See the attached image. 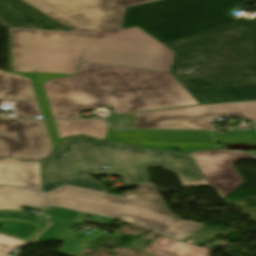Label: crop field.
Instances as JSON below:
<instances>
[{"mask_svg": "<svg viewBox=\"0 0 256 256\" xmlns=\"http://www.w3.org/2000/svg\"><path fill=\"white\" fill-rule=\"evenodd\" d=\"M108 0H0L9 29V72L31 78L33 88L73 75L79 60L169 71L173 52L134 27L120 30L125 8Z\"/></svg>", "mask_w": 256, "mask_h": 256, "instance_id": "obj_1", "label": "crop field"}, {"mask_svg": "<svg viewBox=\"0 0 256 256\" xmlns=\"http://www.w3.org/2000/svg\"><path fill=\"white\" fill-rule=\"evenodd\" d=\"M256 0H162L128 7L139 26L175 53L171 74L199 104L256 99V18L230 9Z\"/></svg>", "mask_w": 256, "mask_h": 256, "instance_id": "obj_2", "label": "crop field"}, {"mask_svg": "<svg viewBox=\"0 0 256 256\" xmlns=\"http://www.w3.org/2000/svg\"><path fill=\"white\" fill-rule=\"evenodd\" d=\"M54 118L110 104L116 114L198 104L166 72L81 62L76 75L43 84Z\"/></svg>", "mask_w": 256, "mask_h": 256, "instance_id": "obj_3", "label": "crop field"}, {"mask_svg": "<svg viewBox=\"0 0 256 256\" xmlns=\"http://www.w3.org/2000/svg\"><path fill=\"white\" fill-rule=\"evenodd\" d=\"M107 165L109 170L101 166ZM163 165L177 173L185 187L207 185L190 153L137 149L129 144L109 143L85 136L66 139L60 149L40 162L42 192L69 184L105 191L86 174L109 173L125 179L124 184L149 182L146 167Z\"/></svg>", "mask_w": 256, "mask_h": 256, "instance_id": "obj_4", "label": "crop field"}, {"mask_svg": "<svg viewBox=\"0 0 256 256\" xmlns=\"http://www.w3.org/2000/svg\"><path fill=\"white\" fill-rule=\"evenodd\" d=\"M136 192L121 196L64 186L49 194L50 204L124 218L142 229L183 241L201 224L181 220L167 210L152 184H140Z\"/></svg>", "mask_w": 256, "mask_h": 256, "instance_id": "obj_5", "label": "crop field"}, {"mask_svg": "<svg viewBox=\"0 0 256 256\" xmlns=\"http://www.w3.org/2000/svg\"><path fill=\"white\" fill-rule=\"evenodd\" d=\"M134 128L213 129L211 118L236 116L256 120V101L198 105L135 113Z\"/></svg>", "mask_w": 256, "mask_h": 256, "instance_id": "obj_6", "label": "crop field"}, {"mask_svg": "<svg viewBox=\"0 0 256 256\" xmlns=\"http://www.w3.org/2000/svg\"><path fill=\"white\" fill-rule=\"evenodd\" d=\"M52 150L44 121L0 116V158L34 161L45 158Z\"/></svg>", "mask_w": 256, "mask_h": 256, "instance_id": "obj_7", "label": "crop field"}, {"mask_svg": "<svg viewBox=\"0 0 256 256\" xmlns=\"http://www.w3.org/2000/svg\"><path fill=\"white\" fill-rule=\"evenodd\" d=\"M107 141L129 142L138 147L178 149L182 152L220 147L212 140L210 131L124 130L107 136Z\"/></svg>", "mask_w": 256, "mask_h": 256, "instance_id": "obj_8", "label": "crop field"}, {"mask_svg": "<svg viewBox=\"0 0 256 256\" xmlns=\"http://www.w3.org/2000/svg\"><path fill=\"white\" fill-rule=\"evenodd\" d=\"M191 155L208 185L219 193L220 198L228 195L242 183L231 162L240 159H256L247 153L223 150L198 151L191 153Z\"/></svg>", "mask_w": 256, "mask_h": 256, "instance_id": "obj_9", "label": "crop field"}, {"mask_svg": "<svg viewBox=\"0 0 256 256\" xmlns=\"http://www.w3.org/2000/svg\"><path fill=\"white\" fill-rule=\"evenodd\" d=\"M0 184L27 187L41 192L39 162L0 160Z\"/></svg>", "mask_w": 256, "mask_h": 256, "instance_id": "obj_10", "label": "crop field"}, {"mask_svg": "<svg viewBox=\"0 0 256 256\" xmlns=\"http://www.w3.org/2000/svg\"><path fill=\"white\" fill-rule=\"evenodd\" d=\"M0 224V234L30 243L48 222L29 219L19 214L4 213L0 214Z\"/></svg>", "mask_w": 256, "mask_h": 256, "instance_id": "obj_11", "label": "crop field"}, {"mask_svg": "<svg viewBox=\"0 0 256 256\" xmlns=\"http://www.w3.org/2000/svg\"><path fill=\"white\" fill-rule=\"evenodd\" d=\"M46 203L41 194L12 187H0V212L21 213L24 208L42 211Z\"/></svg>", "mask_w": 256, "mask_h": 256, "instance_id": "obj_12", "label": "crop field"}, {"mask_svg": "<svg viewBox=\"0 0 256 256\" xmlns=\"http://www.w3.org/2000/svg\"><path fill=\"white\" fill-rule=\"evenodd\" d=\"M60 140L63 137L84 134L105 138L108 126L102 120H54Z\"/></svg>", "mask_w": 256, "mask_h": 256, "instance_id": "obj_13", "label": "crop field"}, {"mask_svg": "<svg viewBox=\"0 0 256 256\" xmlns=\"http://www.w3.org/2000/svg\"><path fill=\"white\" fill-rule=\"evenodd\" d=\"M0 99L37 100L30 79L0 71Z\"/></svg>", "mask_w": 256, "mask_h": 256, "instance_id": "obj_14", "label": "crop field"}, {"mask_svg": "<svg viewBox=\"0 0 256 256\" xmlns=\"http://www.w3.org/2000/svg\"><path fill=\"white\" fill-rule=\"evenodd\" d=\"M157 250L170 256H210V251L186 243L160 237L156 241Z\"/></svg>", "mask_w": 256, "mask_h": 256, "instance_id": "obj_15", "label": "crop field"}, {"mask_svg": "<svg viewBox=\"0 0 256 256\" xmlns=\"http://www.w3.org/2000/svg\"><path fill=\"white\" fill-rule=\"evenodd\" d=\"M215 140L222 143H248L256 144V131H236L220 134L219 131H213Z\"/></svg>", "mask_w": 256, "mask_h": 256, "instance_id": "obj_16", "label": "crop field"}, {"mask_svg": "<svg viewBox=\"0 0 256 256\" xmlns=\"http://www.w3.org/2000/svg\"><path fill=\"white\" fill-rule=\"evenodd\" d=\"M58 240L64 241L65 243L56 252L69 256H76L86 246L69 227L66 228Z\"/></svg>", "mask_w": 256, "mask_h": 256, "instance_id": "obj_17", "label": "crop field"}, {"mask_svg": "<svg viewBox=\"0 0 256 256\" xmlns=\"http://www.w3.org/2000/svg\"><path fill=\"white\" fill-rule=\"evenodd\" d=\"M16 106V118H30L34 115L41 114L37 101H18Z\"/></svg>", "mask_w": 256, "mask_h": 256, "instance_id": "obj_18", "label": "crop field"}, {"mask_svg": "<svg viewBox=\"0 0 256 256\" xmlns=\"http://www.w3.org/2000/svg\"><path fill=\"white\" fill-rule=\"evenodd\" d=\"M44 213L48 214L52 221L70 224L78 212L49 206Z\"/></svg>", "mask_w": 256, "mask_h": 256, "instance_id": "obj_19", "label": "crop field"}, {"mask_svg": "<svg viewBox=\"0 0 256 256\" xmlns=\"http://www.w3.org/2000/svg\"><path fill=\"white\" fill-rule=\"evenodd\" d=\"M67 226L68 225L51 222L50 227L46 229L35 242L57 240Z\"/></svg>", "mask_w": 256, "mask_h": 256, "instance_id": "obj_20", "label": "crop field"}, {"mask_svg": "<svg viewBox=\"0 0 256 256\" xmlns=\"http://www.w3.org/2000/svg\"><path fill=\"white\" fill-rule=\"evenodd\" d=\"M28 243L0 235V256H8V254L16 247H22Z\"/></svg>", "mask_w": 256, "mask_h": 256, "instance_id": "obj_21", "label": "crop field"}, {"mask_svg": "<svg viewBox=\"0 0 256 256\" xmlns=\"http://www.w3.org/2000/svg\"><path fill=\"white\" fill-rule=\"evenodd\" d=\"M133 113L116 115L111 112L109 124L116 128L132 127Z\"/></svg>", "mask_w": 256, "mask_h": 256, "instance_id": "obj_22", "label": "crop field"}, {"mask_svg": "<svg viewBox=\"0 0 256 256\" xmlns=\"http://www.w3.org/2000/svg\"><path fill=\"white\" fill-rule=\"evenodd\" d=\"M36 94L38 96L39 99V105H40V109L42 112V115L44 118H53L48 102H47V98L43 89V86H40L39 88L35 89Z\"/></svg>", "mask_w": 256, "mask_h": 256, "instance_id": "obj_23", "label": "crop field"}, {"mask_svg": "<svg viewBox=\"0 0 256 256\" xmlns=\"http://www.w3.org/2000/svg\"><path fill=\"white\" fill-rule=\"evenodd\" d=\"M158 0H109L108 6L128 7Z\"/></svg>", "mask_w": 256, "mask_h": 256, "instance_id": "obj_24", "label": "crop field"}, {"mask_svg": "<svg viewBox=\"0 0 256 256\" xmlns=\"http://www.w3.org/2000/svg\"><path fill=\"white\" fill-rule=\"evenodd\" d=\"M45 122H46L48 132H49V135H50V138H51L53 149H56V148L59 147L61 141L58 138L56 128H55V125H54V121L51 120V121H45Z\"/></svg>", "mask_w": 256, "mask_h": 256, "instance_id": "obj_25", "label": "crop field"}, {"mask_svg": "<svg viewBox=\"0 0 256 256\" xmlns=\"http://www.w3.org/2000/svg\"><path fill=\"white\" fill-rule=\"evenodd\" d=\"M103 235H105L104 233H96V232H92V233H90V234H88V235H86V236H84V237H82V238H80L84 243H90V242H92V241H94V240H96L97 238H99V237H101V236H103Z\"/></svg>", "mask_w": 256, "mask_h": 256, "instance_id": "obj_26", "label": "crop field"}, {"mask_svg": "<svg viewBox=\"0 0 256 256\" xmlns=\"http://www.w3.org/2000/svg\"><path fill=\"white\" fill-rule=\"evenodd\" d=\"M89 214H85V213H81L79 212L78 215L75 217V219L72 221L71 224H78V223H82L83 220L88 217Z\"/></svg>", "mask_w": 256, "mask_h": 256, "instance_id": "obj_27", "label": "crop field"}, {"mask_svg": "<svg viewBox=\"0 0 256 256\" xmlns=\"http://www.w3.org/2000/svg\"><path fill=\"white\" fill-rule=\"evenodd\" d=\"M90 220H94V221H98V222H104V221H109L111 219L100 217V216H96V215H92L90 217Z\"/></svg>", "mask_w": 256, "mask_h": 256, "instance_id": "obj_28", "label": "crop field"}, {"mask_svg": "<svg viewBox=\"0 0 256 256\" xmlns=\"http://www.w3.org/2000/svg\"><path fill=\"white\" fill-rule=\"evenodd\" d=\"M116 130H114V129H112V128H108V132H107V134H109V133H113V132H115Z\"/></svg>", "mask_w": 256, "mask_h": 256, "instance_id": "obj_29", "label": "crop field"}, {"mask_svg": "<svg viewBox=\"0 0 256 256\" xmlns=\"http://www.w3.org/2000/svg\"><path fill=\"white\" fill-rule=\"evenodd\" d=\"M120 220H124V219L121 218ZM124 221H125V220H124ZM127 222H130V221H127ZM130 223H133V222H130ZM133 224H136V223H133ZM137 225H138V224H137Z\"/></svg>", "mask_w": 256, "mask_h": 256, "instance_id": "obj_30", "label": "crop field"}, {"mask_svg": "<svg viewBox=\"0 0 256 256\" xmlns=\"http://www.w3.org/2000/svg\"><path fill=\"white\" fill-rule=\"evenodd\" d=\"M253 127H254V129L256 130V122H255V125H254Z\"/></svg>", "mask_w": 256, "mask_h": 256, "instance_id": "obj_31", "label": "crop field"}]
</instances>
